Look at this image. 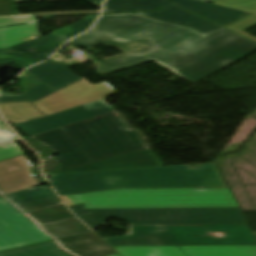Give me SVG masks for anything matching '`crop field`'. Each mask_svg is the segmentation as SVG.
Instances as JSON below:
<instances>
[{"label": "crop field", "mask_w": 256, "mask_h": 256, "mask_svg": "<svg viewBox=\"0 0 256 256\" xmlns=\"http://www.w3.org/2000/svg\"><path fill=\"white\" fill-rule=\"evenodd\" d=\"M35 21L33 16H5L0 17V49H5L24 42L26 39L37 36L35 24L12 26L7 25L29 23Z\"/></svg>", "instance_id": "15"}, {"label": "crop field", "mask_w": 256, "mask_h": 256, "mask_svg": "<svg viewBox=\"0 0 256 256\" xmlns=\"http://www.w3.org/2000/svg\"><path fill=\"white\" fill-rule=\"evenodd\" d=\"M89 118L93 116L79 106L44 118L16 124V126L30 137Z\"/></svg>", "instance_id": "13"}, {"label": "crop field", "mask_w": 256, "mask_h": 256, "mask_svg": "<svg viewBox=\"0 0 256 256\" xmlns=\"http://www.w3.org/2000/svg\"><path fill=\"white\" fill-rule=\"evenodd\" d=\"M146 166H163V164L161 160L158 157L154 156L150 150H145L94 162L60 173Z\"/></svg>", "instance_id": "12"}, {"label": "crop field", "mask_w": 256, "mask_h": 256, "mask_svg": "<svg viewBox=\"0 0 256 256\" xmlns=\"http://www.w3.org/2000/svg\"><path fill=\"white\" fill-rule=\"evenodd\" d=\"M16 2H21V1H55V0H14Z\"/></svg>", "instance_id": "37"}, {"label": "crop field", "mask_w": 256, "mask_h": 256, "mask_svg": "<svg viewBox=\"0 0 256 256\" xmlns=\"http://www.w3.org/2000/svg\"><path fill=\"white\" fill-rule=\"evenodd\" d=\"M26 215L39 226L74 217L64 205L27 213Z\"/></svg>", "instance_id": "23"}, {"label": "crop field", "mask_w": 256, "mask_h": 256, "mask_svg": "<svg viewBox=\"0 0 256 256\" xmlns=\"http://www.w3.org/2000/svg\"><path fill=\"white\" fill-rule=\"evenodd\" d=\"M18 137L9 131L0 130V144L7 141L17 140Z\"/></svg>", "instance_id": "33"}, {"label": "crop field", "mask_w": 256, "mask_h": 256, "mask_svg": "<svg viewBox=\"0 0 256 256\" xmlns=\"http://www.w3.org/2000/svg\"><path fill=\"white\" fill-rule=\"evenodd\" d=\"M48 240L52 237L0 197V251Z\"/></svg>", "instance_id": "8"}, {"label": "crop field", "mask_w": 256, "mask_h": 256, "mask_svg": "<svg viewBox=\"0 0 256 256\" xmlns=\"http://www.w3.org/2000/svg\"><path fill=\"white\" fill-rule=\"evenodd\" d=\"M113 256H121V255H119V254H116V255H113Z\"/></svg>", "instance_id": "39"}, {"label": "crop field", "mask_w": 256, "mask_h": 256, "mask_svg": "<svg viewBox=\"0 0 256 256\" xmlns=\"http://www.w3.org/2000/svg\"><path fill=\"white\" fill-rule=\"evenodd\" d=\"M71 209L90 228L109 218L128 224H247L240 209L86 210L82 205Z\"/></svg>", "instance_id": "7"}, {"label": "crop field", "mask_w": 256, "mask_h": 256, "mask_svg": "<svg viewBox=\"0 0 256 256\" xmlns=\"http://www.w3.org/2000/svg\"><path fill=\"white\" fill-rule=\"evenodd\" d=\"M113 37L152 46L96 62L99 74L154 60L194 84L256 51L255 42L224 28L204 36L133 14L102 15L92 31L70 43L88 49Z\"/></svg>", "instance_id": "1"}, {"label": "crop field", "mask_w": 256, "mask_h": 256, "mask_svg": "<svg viewBox=\"0 0 256 256\" xmlns=\"http://www.w3.org/2000/svg\"><path fill=\"white\" fill-rule=\"evenodd\" d=\"M254 234H256V232H253Z\"/></svg>", "instance_id": "40"}, {"label": "crop field", "mask_w": 256, "mask_h": 256, "mask_svg": "<svg viewBox=\"0 0 256 256\" xmlns=\"http://www.w3.org/2000/svg\"><path fill=\"white\" fill-rule=\"evenodd\" d=\"M256 25V15L254 14H250L238 21H235L227 26H225L226 28L239 33L245 29H248L252 26Z\"/></svg>", "instance_id": "28"}, {"label": "crop field", "mask_w": 256, "mask_h": 256, "mask_svg": "<svg viewBox=\"0 0 256 256\" xmlns=\"http://www.w3.org/2000/svg\"><path fill=\"white\" fill-rule=\"evenodd\" d=\"M84 1H87L93 5H96V6H100L102 0H84Z\"/></svg>", "instance_id": "35"}, {"label": "crop field", "mask_w": 256, "mask_h": 256, "mask_svg": "<svg viewBox=\"0 0 256 256\" xmlns=\"http://www.w3.org/2000/svg\"><path fill=\"white\" fill-rule=\"evenodd\" d=\"M82 107L85 108L94 117L114 111V109H112L102 100L83 105Z\"/></svg>", "instance_id": "29"}, {"label": "crop field", "mask_w": 256, "mask_h": 256, "mask_svg": "<svg viewBox=\"0 0 256 256\" xmlns=\"http://www.w3.org/2000/svg\"><path fill=\"white\" fill-rule=\"evenodd\" d=\"M116 93L105 82L92 86L86 80H80L34 103V105L47 116Z\"/></svg>", "instance_id": "10"}, {"label": "crop field", "mask_w": 256, "mask_h": 256, "mask_svg": "<svg viewBox=\"0 0 256 256\" xmlns=\"http://www.w3.org/2000/svg\"><path fill=\"white\" fill-rule=\"evenodd\" d=\"M186 256H256V246H178Z\"/></svg>", "instance_id": "18"}, {"label": "crop field", "mask_w": 256, "mask_h": 256, "mask_svg": "<svg viewBox=\"0 0 256 256\" xmlns=\"http://www.w3.org/2000/svg\"><path fill=\"white\" fill-rule=\"evenodd\" d=\"M124 121L114 111L83 122L52 130L33 138L58 155L60 171L128 152L145 150L142 139L126 132Z\"/></svg>", "instance_id": "2"}, {"label": "crop field", "mask_w": 256, "mask_h": 256, "mask_svg": "<svg viewBox=\"0 0 256 256\" xmlns=\"http://www.w3.org/2000/svg\"><path fill=\"white\" fill-rule=\"evenodd\" d=\"M59 196L121 188H212L226 187L215 164L199 170L187 166L146 167L52 175Z\"/></svg>", "instance_id": "3"}, {"label": "crop field", "mask_w": 256, "mask_h": 256, "mask_svg": "<svg viewBox=\"0 0 256 256\" xmlns=\"http://www.w3.org/2000/svg\"><path fill=\"white\" fill-rule=\"evenodd\" d=\"M42 227L55 239L90 231L77 218L47 224Z\"/></svg>", "instance_id": "22"}, {"label": "crop field", "mask_w": 256, "mask_h": 256, "mask_svg": "<svg viewBox=\"0 0 256 256\" xmlns=\"http://www.w3.org/2000/svg\"><path fill=\"white\" fill-rule=\"evenodd\" d=\"M125 236L105 239L110 246L256 245L249 225H129ZM223 233L224 237L208 234Z\"/></svg>", "instance_id": "5"}, {"label": "crop field", "mask_w": 256, "mask_h": 256, "mask_svg": "<svg viewBox=\"0 0 256 256\" xmlns=\"http://www.w3.org/2000/svg\"><path fill=\"white\" fill-rule=\"evenodd\" d=\"M214 3L256 13V0H220Z\"/></svg>", "instance_id": "25"}, {"label": "crop field", "mask_w": 256, "mask_h": 256, "mask_svg": "<svg viewBox=\"0 0 256 256\" xmlns=\"http://www.w3.org/2000/svg\"><path fill=\"white\" fill-rule=\"evenodd\" d=\"M98 17V15H90L88 17H86L84 20H82L81 22L74 24L70 27H67L65 29L56 31V32H52V34H57V35H62V36H66V37H73L85 30H87L92 23L95 21V19Z\"/></svg>", "instance_id": "24"}, {"label": "crop field", "mask_w": 256, "mask_h": 256, "mask_svg": "<svg viewBox=\"0 0 256 256\" xmlns=\"http://www.w3.org/2000/svg\"><path fill=\"white\" fill-rule=\"evenodd\" d=\"M21 154H23V152L14 143H9L0 147V160Z\"/></svg>", "instance_id": "31"}, {"label": "crop field", "mask_w": 256, "mask_h": 256, "mask_svg": "<svg viewBox=\"0 0 256 256\" xmlns=\"http://www.w3.org/2000/svg\"><path fill=\"white\" fill-rule=\"evenodd\" d=\"M31 168L24 155L0 161V193L5 196L39 185Z\"/></svg>", "instance_id": "11"}, {"label": "crop field", "mask_w": 256, "mask_h": 256, "mask_svg": "<svg viewBox=\"0 0 256 256\" xmlns=\"http://www.w3.org/2000/svg\"><path fill=\"white\" fill-rule=\"evenodd\" d=\"M199 1L207 2V1H212V0H199Z\"/></svg>", "instance_id": "38"}, {"label": "crop field", "mask_w": 256, "mask_h": 256, "mask_svg": "<svg viewBox=\"0 0 256 256\" xmlns=\"http://www.w3.org/2000/svg\"><path fill=\"white\" fill-rule=\"evenodd\" d=\"M101 44L117 47L125 52L149 46V45L127 41L119 38H114L109 41L103 42Z\"/></svg>", "instance_id": "27"}, {"label": "crop field", "mask_w": 256, "mask_h": 256, "mask_svg": "<svg viewBox=\"0 0 256 256\" xmlns=\"http://www.w3.org/2000/svg\"><path fill=\"white\" fill-rule=\"evenodd\" d=\"M0 256H72L58 248L54 241L28 246L6 252Z\"/></svg>", "instance_id": "21"}, {"label": "crop field", "mask_w": 256, "mask_h": 256, "mask_svg": "<svg viewBox=\"0 0 256 256\" xmlns=\"http://www.w3.org/2000/svg\"><path fill=\"white\" fill-rule=\"evenodd\" d=\"M122 256H185L177 246L115 247Z\"/></svg>", "instance_id": "20"}, {"label": "crop field", "mask_w": 256, "mask_h": 256, "mask_svg": "<svg viewBox=\"0 0 256 256\" xmlns=\"http://www.w3.org/2000/svg\"><path fill=\"white\" fill-rule=\"evenodd\" d=\"M61 198L87 209L238 207L229 189H121Z\"/></svg>", "instance_id": "4"}, {"label": "crop field", "mask_w": 256, "mask_h": 256, "mask_svg": "<svg viewBox=\"0 0 256 256\" xmlns=\"http://www.w3.org/2000/svg\"><path fill=\"white\" fill-rule=\"evenodd\" d=\"M0 112L13 124L44 117V115L30 102L0 103Z\"/></svg>", "instance_id": "19"}, {"label": "crop field", "mask_w": 256, "mask_h": 256, "mask_svg": "<svg viewBox=\"0 0 256 256\" xmlns=\"http://www.w3.org/2000/svg\"><path fill=\"white\" fill-rule=\"evenodd\" d=\"M1 63H15L23 68L37 63L31 57H26L22 55H13L3 53V50H0V64Z\"/></svg>", "instance_id": "26"}, {"label": "crop field", "mask_w": 256, "mask_h": 256, "mask_svg": "<svg viewBox=\"0 0 256 256\" xmlns=\"http://www.w3.org/2000/svg\"><path fill=\"white\" fill-rule=\"evenodd\" d=\"M0 129H2V130H9V131H11L3 122H2V120L0 119Z\"/></svg>", "instance_id": "36"}, {"label": "crop field", "mask_w": 256, "mask_h": 256, "mask_svg": "<svg viewBox=\"0 0 256 256\" xmlns=\"http://www.w3.org/2000/svg\"><path fill=\"white\" fill-rule=\"evenodd\" d=\"M16 14L13 0H0V15Z\"/></svg>", "instance_id": "32"}, {"label": "crop field", "mask_w": 256, "mask_h": 256, "mask_svg": "<svg viewBox=\"0 0 256 256\" xmlns=\"http://www.w3.org/2000/svg\"><path fill=\"white\" fill-rule=\"evenodd\" d=\"M5 198L23 212L61 203L48 186H36Z\"/></svg>", "instance_id": "16"}, {"label": "crop field", "mask_w": 256, "mask_h": 256, "mask_svg": "<svg viewBox=\"0 0 256 256\" xmlns=\"http://www.w3.org/2000/svg\"><path fill=\"white\" fill-rule=\"evenodd\" d=\"M26 71L43 84L19 95L0 91V102L30 101L33 103L80 80L78 76L64 65L53 64L49 61L32 67Z\"/></svg>", "instance_id": "9"}, {"label": "crop field", "mask_w": 256, "mask_h": 256, "mask_svg": "<svg viewBox=\"0 0 256 256\" xmlns=\"http://www.w3.org/2000/svg\"><path fill=\"white\" fill-rule=\"evenodd\" d=\"M170 4H175L221 26L250 14L194 0H106L103 12L139 11L137 14L188 27L204 35L221 28L174 6L159 11L141 13V11L160 9Z\"/></svg>", "instance_id": "6"}, {"label": "crop field", "mask_w": 256, "mask_h": 256, "mask_svg": "<svg viewBox=\"0 0 256 256\" xmlns=\"http://www.w3.org/2000/svg\"><path fill=\"white\" fill-rule=\"evenodd\" d=\"M67 39L48 35L6 49L4 52L31 56L40 62L50 56Z\"/></svg>", "instance_id": "17"}, {"label": "crop field", "mask_w": 256, "mask_h": 256, "mask_svg": "<svg viewBox=\"0 0 256 256\" xmlns=\"http://www.w3.org/2000/svg\"><path fill=\"white\" fill-rule=\"evenodd\" d=\"M117 112V111H116ZM118 113V112H117ZM118 115L125 121V123L128 125V126H126V127H124V129L126 130V131H130V130H134L140 137H141V135H140V133L137 131V130H135L133 127H131L128 123H127V121L118 113ZM142 138V137H141ZM143 139V138H142ZM144 141V140H143ZM145 142V141H144ZM146 144V143H145ZM146 146L148 147V145L146 144ZM148 149H150L149 147H148Z\"/></svg>", "instance_id": "34"}, {"label": "crop field", "mask_w": 256, "mask_h": 256, "mask_svg": "<svg viewBox=\"0 0 256 256\" xmlns=\"http://www.w3.org/2000/svg\"><path fill=\"white\" fill-rule=\"evenodd\" d=\"M255 237H256V235H255Z\"/></svg>", "instance_id": "41"}, {"label": "crop field", "mask_w": 256, "mask_h": 256, "mask_svg": "<svg viewBox=\"0 0 256 256\" xmlns=\"http://www.w3.org/2000/svg\"><path fill=\"white\" fill-rule=\"evenodd\" d=\"M60 246L76 256H109L116 254L94 232L58 239Z\"/></svg>", "instance_id": "14"}, {"label": "crop field", "mask_w": 256, "mask_h": 256, "mask_svg": "<svg viewBox=\"0 0 256 256\" xmlns=\"http://www.w3.org/2000/svg\"><path fill=\"white\" fill-rule=\"evenodd\" d=\"M28 72V71H27ZM26 71L18 78L20 79V88L23 90L19 93H23L39 84H41V82H39L37 79H35L33 76H31L29 73H27Z\"/></svg>", "instance_id": "30"}]
</instances>
